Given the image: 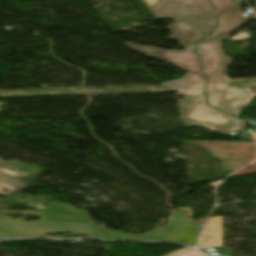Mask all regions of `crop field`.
<instances>
[{
    "instance_id": "8a807250",
    "label": "crop field",
    "mask_w": 256,
    "mask_h": 256,
    "mask_svg": "<svg viewBox=\"0 0 256 256\" xmlns=\"http://www.w3.org/2000/svg\"><path fill=\"white\" fill-rule=\"evenodd\" d=\"M7 213L13 212L0 211V238L41 237L45 234L53 233H81L88 235L89 238L115 239L105 230L103 234L95 232V228L99 227H95L91 222L83 218L48 207L45 208L44 213L22 212L38 216L41 218L40 221L25 222L18 219L6 218ZM9 224L12 226H8ZM25 225L30 227H24Z\"/></svg>"
},
{
    "instance_id": "ac0d7876",
    "label": "crop field",
    "mask_w": 256,
    "mask_h": 256,
    "mask_svg": "<svg viewBox=\"0 0 256 256\" xmlns=\"http://www.w3.org/2000/svg\"><path fill=\"white\" fill-rule=\"evenodd\" d=\"M218 15L220 21L218 29L202 42L229 37L231 32L249 21V18L243 17L239 7L220 11ZM216 25V12L174 21L168 26V29L172 31L169 39L176 40L181 47L195 44L211 32Z\"/></svg>"
},
{
    "instance_id": "34b2d1b8",
    "label": "crop field",
    "mask_w": 256,
    "mask_h": 256,
    "mask_svg": "<svg viewBox=\"0 0 256 256\" xmlns=\"http://www.w3.org/2000/svg\"><path fill=\"white\" fill-rule=\"evenodd\" d=\"M48 207L55 208L67 213H71L90 220L97 226L88 216L87 213L72 209L66 204H50ZM171 220H167L168 228L154 229L150 233L144 235H131L121 232L107 230L108 233L117 238L125 240H159L172 241L194 246L195 235L200 230V227L194 226L188 221L187 209L170 211ZM102 228V227H101ZM121 234H124L123 236Z\"/></svg>"
},
{
    "instance_id": "412701ff",
    "label": "crop field",
    "mask_w": 256,
    "mask_h": 256,
    "mask_svg": "<svg viewBox=\"0 0 256 256\" xmlns=\"http://www.w3.org/2000/svg\"><path fill=\"white\" fill-rule=\"evenodd\" d=\"M196 45L185 47L184 51H166L147 57L166 61L188 73L187 76L163 83L179 97H189L204 93L206 76L200 73L199 58L193 53Z\"/></svg>"
},
{
    "instance_id": "f4fd0767",
    "label": "crop field",
    "mask_w": 256,
    "mask_h": 256,
    "mask_svg": "<svg viewBox=\"0 0 256 256\" xmlns=\"http://www.w3.org/2000/svg\"><path fill=\"white\" fill-rule=\"evenodd\" d=\"M179 112L186 126L206 124L220 134H230L237 130L232 117L222 114L205 104L204 94L178 101Z\"/></svg>"
},
{
    "instance_id": "dd49c442",
    "label": "crop field",
    "mask_w": 256,
    "mask_h": 256,
    "mask_svg": "<svg viewBox=\"0 0 256 256\" xmlns=\"http://www.w3.org/2000/svg\"><path fill=\"white\" fill-rule=\"evenodd\" d=\"M196 52L201 55L203 73L209 76L206 92L228 87L225 76V64L231 63L230 58L222 54L220 40L198 45Z\"/></svg>"
},
{
    "instance_id": "e52e79f7",
    "label": "crop field",
    "mask_w": 256,
    "mask_h": 256,
    "mask_svg": "<svg viewBox=\"0 0 256 256\" xmlns=\"http://www.w3.org/2000/svg\"><path fill=\"white\" fill-rule=\"evenodd\" d=\"M145 2L156 19L179 20L215 11L208 0H145Z\"/></svg>"
},
{
    "instance_id": "d8731c3e",
    "label": "crop field",
    "mask_w": 256,
    "mask_h": 256,
    "mask_svg": "<svg viewBox=\"0 0 256 256\" xmlns=\"http://www.w3.org/2000/svg\"><path fill=\"white\" fill-rule=\"evenodd\" d=\"M228 89L207 93L208 102L211 106L224 111L230 115H235L250 100L246 97H233L227 95Z\"/></svg>"
},
{
    "instance_id": "5a996713",
    "label": "crop field",
    "mask_w": 256,
    "mask_h": 256,
    "mask_svg": "<svg viewBox=\"0 0 256 256\" xmlns=\"http://www.w3.org/2000/svg\"><path fill=\"white\" fill-rule=\"evenodd\" d=\"M6 162L7 161L0 159V167ZM19 175L20 174L0 168V195L7 196L26 187L15 179Z\"/></svg>"
},
{
    "instance_id": "3316defc",
    "label": "crop field",
    "mask_w": 256,
    "mask_h": 256,
    "mask_svg": "<svg viewBox=\"0 0 256 256\" xmlns=\"http://www.w3.org/2000/svg\"><path fill=\"white\" fill-rule=\"evenodd\" d=\"M198 245L199 248L221 247L216 232L215 222L206 224L199 236Z\"/></svg>"
},
{
    "instance_id": "28ad6ade",
    "label": "crop field",
    "mask_w": 256,
    "mask_h": 256,
    "mask_svg": "<svg viewBox=\"0 0 256 256\" xmlns=\"http://www.w3.org/2000/svg\"><path fill=\"white\" fill-rule=\"evenodd\" d=\"M126 44L131 50L137 51L145 55L166 51V50L155 48V47L138 46L131 43H126Z\"/></svg>"
},
{
    "instance_id": "d1516ede",
    "label": "crop field",
    "mask_w": 256,
    "mask_h": 256,
    "mask_svg": "<svg viewBox=\"0 0 256 256\" xmlns=\"http://www.w3.org/2000/svg\"><path fill=\"white\" fill-rule=\"evenodd\" d=\"M210 1L215 6L217 11L236 7L233 0H210Z\"/></svg>"
},
{
    "instance_id": "22f410ed",
    "label": "crop field",
    "mask_w": 256,
    "mask_h": 256,
    "mask_svg": "<svg viewBox=\"0 0 256 256\" xmlns=\"http://www.w3.org/2000/svg\"><path fill=\"white\" fill-rule=\"evenodd\" d=\"M211 221H216L218 236H219L220 243H221V239H222L221 217L210 218L208 222H211Z\"/></svg>"
},
{
    "instance_id": "cbeb9de0",
    "label": "crop field",
    "mask_w": 256,
    "mask_h": 256,
    "mask_svg": "<svg viewBox=\"0 0 256 256\" xmlns=\"http://www.w3.org/2000/svg\"><path fill=\"white\" fill-rule=\"evenodd\" d=\"M177 256H205V255H203V254H201L198 251L193 249V250L187 251L185 253L179 254Z\"/></svg>"
},
{
    "instance_id": "5142ce71",
    "label": "crop field",
    "mask_w": 256,
    "mask_h": 256,
    "mask_svg": "<svg viewBox=\"0 0 256 256\" xmlns=\"http://www.w3.org/2000/svg\"><path fill=\"white\" fill-rule=\"evenodd\" d=\"M190 249H191V248H189V247H184V248H182V249H179V250H177V251H174V252H172V253H169V254H167V255H165V256H174V255H176V254L185 252V251L190 250Z\"/></svg>"
},
{
    "instance_id": "d9b57169",
    "label": "crop field",
    "mask_w": 256,
    "mask_h": 256,
    "mask_svg": "<svg viewBox=\"0 0 256 256\" xmlns=\"http://www.w3.org/2000/svg\"><path fill=\"white\" fill-rule=\"evenodd\" d=\"M250 136L256 140V132L253 134H250Z\"/></svg>"
},
{
    "instance_id": "733c2abd",
    "label": "crop field",
    "mask_w": 256,
    "mask_h": 256,
    "mask_svg": "<svg viewBox=\"0 0 256 256\" xmlns=\"http://www.w3.org/2000/svg\"><path fill=\"white\" fill-rule=\"evenodd\" d=\"M3 104H4V103H0V106L3 105ZM0 112H1V110H0Z\"/></svg>"
}]
</instances>
